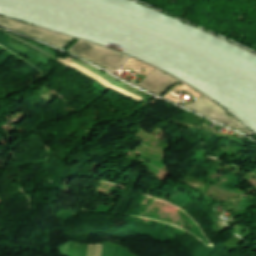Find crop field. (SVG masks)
Listing matches in <instances>:
<instances>
[{
	"label": "crop field",
	"mask_w": 256,
	"mask_h": 256,
	"mask_svg": "<svg viewBox=\"0 0 256 256\" xmlns=\"http://www.w3.org/2000/svg\"><path fill=\"white\" fill-rule=\"evenodd\" d=\"M69 52L93 61L107 69L117 71L128 58L125 55L113 52L100 46L92 45L79 40Z\"/></svg>",
	"instance_id": "8a807250"
},
{
	"label": "crop field",
	"mask_w": 256,
	"mask_h": 256,
	"mask_svg": "<svg viewBox=\"0 0 256 256\" xmlns=\"http://www.w3.org/2000/svg\"><path fill=\"white\" fill-rule=\"evenodd\" d=\"M0 24L9 27L13 30H18L28 35L38 37L40 39L46 40L60 47H64L71 37H67L61 34H57L51 31L39 29L27 24L19 23L13 20L5 19L0 17Z\"/></svg>",
	"instance_id": "ac0d7876"
},
{
	"label": "crop field",
	"mask_w": 256,
	"mask_h": 256,
	"mask_svg": "<svg viewBox=\"0 0 256 256\" xmlns=\"http://www.w3.org/2000/svg\"><path fill=\"white\" fill-rule=\"evenodd\" d=\"M186 107L197 112L203 113L205 115H208L222 123L231 125L249 135H253V133H251L249 130H247L237 121H235L236 119L234 120L233 117H229L228 115H226L225 111H223L221 108H219L217 105L209 101L204 96L198 99L195 103L186 105Z\"/></svg>",
	"instance_id": "34b2d1b8"
},
{
	"label": "crop field",
	"mask_w": 256,
	"mask_h": 256,
	"mask_svg": "<svg viewBox=\"0 0 256 256\" xmlns=\"http://www.w3.org/2000/svg\"><path fill=\"white\" fill-rule=\"evenodd\" d=\"M177 80L171 78L170 76L156 70L150 76H148L145 80H143L139 85L143 88L154 92L156 94H160L168 87L173 85Z\"/></svg>",
	"instance_id": "412701ff"
}]
</instances>
